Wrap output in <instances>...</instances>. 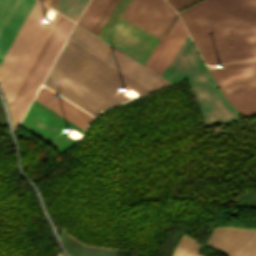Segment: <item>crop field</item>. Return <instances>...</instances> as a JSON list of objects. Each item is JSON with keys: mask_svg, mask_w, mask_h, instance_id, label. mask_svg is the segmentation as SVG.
Returning <instances> with one entry per match:
<instances>
[{"mask_svg": "<svg viewBox=\"0 0 256 256\" xmlns=\"http://www.w3.org/2000/svg\"><path fill=\"white\" fill-rule=\"evenodd\" d=\"M89 0H57L52 8L76 21Z\"/></svg>", "mask_w": 256, "mask_h": 256, "instance_id": "obj_14", "label": "crop field"}, {"mask_svg": "<svg viewBox=\"0 0 256 256\" xmlns=\"http://www.w3.org/2000/svg\"><path fill=\"white\" fill-rule=\"evenodd\" d=\"M48 7L36 0L19 33L0 65V87L8 107L56 23L43 20Z\"/></svg>", "mask_w": 256, "mask_h": 256, "instance_id": "obj_5", "label": "crop field"}, {"mask_svg": "<svg viewBox=\"0 0 256 256\" xmlns=\"http://www.w3.org/2000/svg\"><path fill=\"white\" fill-rule=\"evenodd\" d=\"M55 1H56V0H44L43 3H45V4H47V5H49V6L52 7V5L54 4Z\"/></svg>", "mask_w": 256, "mask_h": 256, "instance_id": "obj_19", "label": "crop field"}, {"mask_svg": "<svg viewBox=\"0 0 256 256\" xmlns=\"http://www.w3.org/2000/svg\"><path fill=\"white\" fill-rule=\"evenodd\" d=\"M90 53L110 64L149 90H157L170 84L141 64L106 44L94 35L75 25L69 38Z\"/></svg>", "mask_w": 256, "mask_h": 256, "instance_id": "obj_6", "label": "crop field"}, {"mask_svg": "<svg viewBox=\"0 0 256 256\" xmlns=\"http://www.w3.org/2000/svg\"><path fill=\"white\" fill-rule=\"evenodd\" d=\"M109 1L92 0L77 23L90 31Z\"/></svg>", "mask_w": 256, "mask_h": 256, "instance_id": "obj_13", "label": "crop field"}, {"mask_svg": "<svg viewBox=\"0 0 256 256\" xmlns=\"http://www.w3.org/2000/svg\"><path fill=\"white\" fill-rule=\"evenodd\" d=\"M35 0H20L0 35V63L18 33Z\"/></svg>", "mask_w": 256, "mask_h": 256, "instance_id": "obj_12", "label": "crop field"}, {"mask_svg": "<svg viewBox=\"0 0 256 256\" xmlns=\"http://www.w3.org/2000/svg\"><path fill=\"white\" fill-rule=\"evenodd\" d=\"M40 1H42V2H43V0H40Z\"/></svg>", "mask_w": 256, "mask_h": 256, "instance_id": "obj_21", "label": "crop field"}, {"mask_svg": "<svg viewBox=\"0 0 256 256\" xmlns=\"http://www.w3.org/2000/svg\"><path fill=\"white\" fill-rule=\"evenodd\" d=\"M119 1L120 0H111L109 2V4L105 8L101 16L99 17V19L91 29V32L97 35V33L99 32V30L101 29L105 21L108 19V17L110 16V14L112 13V11L114 10V8L116 7Z\"/></svg>", "mask_w": 256, "mask_h": 256, "instance_id": "obj_17", "label": "crop field"}, {"mask_svg": "<svg viewBox=\"0 0 256 256\" xmlns=\"http://www.w3.org/2000/svg\"><path fill=\"white\" fill-rule=\"evenodd\" d=\"M187 35L183 24L178 18L147 67L161 75Z\"/></svg>", "mask_w": 256, "mask_h": 256, "instance_id": "obj_11", "label": "crop field"}, {"mask_svg": "<svg viewBox=\"0 0 256 256\" xmlns=\"http://www.w3.org/2000/svg\"><path fill=\"white\" fill-rule=\"evenodd\" d=\"M161 76L172 83L188 78L205 127L242 118L221 95L189 36Z\"/></svg>", "mask_w": 256, "mask_h": 256, "instance_id": "obj_4", "label": "crop field"}, {"mask_svg": "<svg viewBox=\"0 0 256 256\" xmlns=\"http://www.w3.org/2000/svg\"><path fill=\"white\" fill-rule=\"evenodd\" d=\"M176 10L196 1V0H166Z\"/></svg>", "mask_w": 256, "mask_h": 256, "instance_id": "obj_18", "label": "crop field"}, {"mask_svg": "<svg viewBox=\"0 0 256 256\" xmlns=\"http://www.w3.org/2000/svg\"><path fill=\"white\" fill-rule=\"evenodd\" d=\"M183 235L173 256H201V244ZM207 246L215 248L226 256H256V230L233 227L215 228Z\"/></svg>", "mask_w": 256, "mask_h": 256, "instance_id": "obj_7", "label": "crop field"}, {"mask_svg": "<svg viewBox=\"0 0 256 256\" xmlns=\"http://www.w3.org/2000/svg\"><path fill=\"white\" fill-rule=\"evenodd\" d=\"M178 14L205 62L256 58V0H202ZM223 66L210 72L225 98L241 115L256 113V61Z\"/></svg>", "mask_w": 256, "mask_h": 256, "instance_id": "obj_1", "label": "crop field"}, {"mask_svg": "<svg viewBox=\"0 0 256 256\" xmlns=\"http://www.w3.org/2000/svg\"><path fill=\"white\" fill-rule=\"evenodd\" d=\"M73 24V22L64 17L55 36L53 37L50 45L48 46L44 56L42 57L39 65L37 66L34 74L32 75L28 85L26 86L23 94L21 95L11 114L14 130L20 122L23 114L25 113L29 103L31 102L34 94L36 93L39 85L41 84Z\"/></svg>", "mask_w": 256, "mask_h": 256, "instance_id": "obj_9", "label": "crop field"}, {"mask_svg": "<svg viewBox=\"0 0 256 256\" xmlns=\"http://www.w3.org/2000/svg\"><path fill=\"white\" fill-rule=\"evenodd\" d=\"M19 0H0V33Z\"/></svg>", "mask_w": 256, "mask_h": 256, "instance_id": "obj_16", "label": "crop field"}, {"mask_svg": "<svg viewBox=\"0 0 256 256\" xmlns=\"http://www.w3.org/2000/svg\"><path fill=\"white\" fill-rule=\"evenodd\" d=\"M62 19H63V16L60 15V17H59L57 23L55 24V26H54L52 32L50 33V35H49V37H48L46 43L44 44V46H43L41 52L39 53V55H38L36 61L34 62V64H33L32 68H31V70L29 71V73H28L26 79L24 80V82H23V84H22L20 90L18 91V93H17L15 99L13 100V102H12L10 108H9L10 113L12 112L14 106L16 105V103H17V101H18L20 95L22 94V92H23L25 86L27 85V83H28V81H29L31 75L33 74V72H34L36 66L38 65V63H39L41 57L43 56V54H44V52H45L47 46L49 45V43H50L52 37L54 36V34H55V32H56L58 26H59L60 23H61Z\"/></svg>", "mask_w": 256, "mask_h": 256, "instance_id": "obj_15", "label": "crop field"}, {"mask_svg": "<svg viewBox=\"0 0 256 256\" xmlns=\"http://www.w3.org/2000/svg\"><path fill=\"white\" fill-rule=\"evenodd\" d=\"M57 256H61L60 254H57Z\"/></svg>", "mask_w": 256, "mask_h": 256, "instance_id": "obj_20", "label": "crop field"}, {"mask_svg": "<svg viewBox=\"0 0 256 256\" xmlns=\"http://www.w3.org/2000/svg\"><path fill=\"white\" fill-rule=\"evenodd\" d=\"M34 100L20 126L64 153L69 146L76 142L67 136L64 130L73 128L79 133H82L83 130Z\"/></svg>", "mask_w": 256, "mask_h": 256, "instance_id": "obj_8", "label": "crop field"}, {"mask_svg": "<svg viewBox=\"0 0 256 256\" xmlns=\"http://www.w3.org/2000/svg\"><path fill=\"white\" fill-rule=\"evenodd\" d=\"M43 84L94 116L129 99L122 87L150 92L68 39Z\"/></svg>", "mask_w": 256, "mask_h": 256, "instance_id": "obj_2", "label": "crop field"}, {"mask_svg": "<svg viewBox=\"0 0 256 256\" xmlns=\"http://www.w3.org/2000/svg\"><path fill=\"white\" fill-rule=\"evenodd\" d=\"M175 15L164 0H131L121 16L161 37ZM121 16L105 41L143 64L160 37Z\"/></svg>", "mask_w": 256, "mask_h": 256, "instance_id": "obj_3", "label": "crop field"}, {"mask_svg": "<svg viewBox=\"0 0 256 256\" xmlns=\"http://www.w3.org/2000/svg\"><path fill=\"white\" fill-rule=\"evenodd\" d=\"M52 92L45 87H41L35 100L84 130L87 123L92 119V116Z\"/></svg>", "mask_w": 256, "mask_h": 256, "instance_id": "obj_10", "label": "crop field"}]
</instances>
